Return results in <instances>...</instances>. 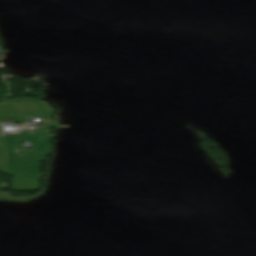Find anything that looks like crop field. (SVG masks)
Segmentation results:
<instances>
[{
  "label": "crop field",
  "mask_w": 256,
  "mask_h": 256,
  "mask_svg": "<svg viewBox=\"0 0 256 256\" xmlns=\"http://www.w3.org/2000/svg\"><path fill=\"white\" fill-rule=\"evenodd\" d=\"M49 128L23 130L19 133H4L3 142L7 154L5 172L14 175L13 187L16 191L38 190V163L44 155H50L49 142L51 136H47ZM33 132V134H29ZM18 141H28L32 144V150L18 145ZM16 148L24 153L18 154Z\"/></svg>",
  "instance_id": "1"
},
{
  "label": "crop field",
  "mask_w": 256,
  "mask_h": 256,
  "mask_svg": "<svg viewBox=\"0 0 256 256\" xmlns=\"http://www.w3.org/2000/svg\"><path fill=\"white\" fill-rule=\"evenodd\" d=\"M5 160H6V154L2 142V137H0V170L4 171L5 168Z\"/></svg>",
  "instance_id": "3"
},
{
  "label": "crop field",
  "mask_w": 256,
  "mask_h": 256,
  "mask_svg": "<svg viewBox=\"0 0 256 256\" xmlns=\"http://www.w3.org/2000/svg\"><path fill=\"white\" fill-rule=\"evenodd\" d=\"M51 112L52 109L44 103L2 104L0 105V123H4V119H10L11 123L27 124L26 117L51 118Z\"/></svg>",
  "instance_id": "2"
}]
</instances>
